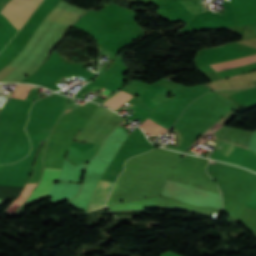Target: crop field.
<instances>
[{
  "label": "crop field",
  "instance_id": "dd49c442",
  "mask_svg": "<svg viewBox=\"0 0 256 256\" xmlns=\"http://www.w3.org/2000/svg\"><path fill=\"white\" fill-rule=\"evenodd\" d=\"M149 119V118H148ZM146 120L145 122H143L140 127L143 128L147 133H149L150 135H154V134H162L168 130L164 129L163 127L151 122L150 120ZM144 131V132H145Z\"/></svg>",
  "mask_w": 256,
  "mask_h": 256
},
{
  "label": "crop field",
  "instance_id": "ac0d7876",
  "mask_svg": "<svg viewBox=\"0 0 256 256\" xmlns=\"http://www.w3.org/2000/svg\"><path fill=\"white\" fill-rule=\"evenodd\" d=\"M60 171L61 169L45 168L41 183L33 191L31 196L25 203L31 204L38 198L46 196L53 182L57 180Z\"/></svg>",
  "mask_w": 256,
  "mask_h": 256
},
{
  "label": "crop field",
  "instance_id": "f4fd0767",
  "mask_svg": "<svg viewBox=\"0 0 256 256\" xmlns=\"http://www.w3.org/2000/svg\"><path fill=\"white\" fill-rule=\"evenodd\" d=\"M131 97V95L126 94L124 92H118L114 96H112L110 99L105 101L103 104L113 108V109H118L120 106L125 104Z\"/></svg>",
  "mask_w": 256,
  "mask_h": 256
},
{
  "label": "crop field",
  "instance_id": "3316defc",
  "mask_svg": "<svg viewBox=\"0 0 256 256\" xmlns=\"http://www.w3.org/2000/svg\"><path fill=\"white\" fill-rule=\"evenodd\" d=\"M67 107H68V105H67Z\"/></svg>",
  "mask_w": 256,
  "mask_h": 256
},
{
  "label": "crop field",
  "instance_id": "34b2d1b8",
  "mask_svg": "<svg viewBox=\"0 0 256 256\" xmlns=\"http://www.w3.org/2000/svg\"><path fill=\"white\" fill-rule=\"evenodd\" d=\"M113 185H114L113 182H108L103 180L100 181L87 212L99 210L105 207L106 199Z\"/></svg>",
  "mask_w": 256,
  "mask_h": 256
},
{
  "label": "crop field",
  "instance_id": "5a996713",
  "mask_svg": "<svg viewBox=\"0 0 256 256\" xmlns=\"http://www.w3.org/2000/svg\"><path fill=\"white\" fill-rule=\"evenodd\" d=\"M1 202H3V201L0 200V203H1Z\"/></svg>",
  "mask_w": 256,
  "mask_h": 256
},
{
  "label": "crop field",
  "instance_id": "e52e79f7",
  "mask_svg": "<svg viewBox=\"0 0 256 256\" xmlns=\"http://www.w3.org/2000/svg\"><path fill=\"white\" fill-rule=\"evenodd\" d=\"M224 141V140H223ZM227 142V141H226ZM230 143V142H229ZM231 144H233V143H231ZM234 145H236V144H234ZM237 146H239V145H237ZM240 147H242V146H240ZM243 148H245V147H243ZM247 149V148H246ZM249 149V148H248Z\"/></svg>",
  "mask_w": 256,
  "mask_h": 256
},
{
  "label": "crop field",
  "instance_id": "8a807250",
  "mask_svg": "<svg viewBox=\"0 0 256 256\" xmlns=\"http://www.w3.org/2000/svg\"><path fill=\"white\" fill-rule=\"evenodd\" d=\"M42 0H11L2 13L16 29H20Z\"/></svg>",
  "mask_w": 256,
  "mask_h": 256
},
{
  "label": "crop field",
  "instance_id": "d8731c3e",
  "mask_svg": "<svg viewBox=\"0 0 256 256\" xmlns=\"http://www.w3.org/2000/svg\"><path fill=\"white\" fill-rule=\"evenodd\" d=\"M132 105H133V104L130 103V104L128 105V107H131Z\"/></svg>",
  "mask_w": 256,
  "mask_h": 256
},
{
  "label": "crop field",
  "instance_id": "412701ff",
  "mask_svg": "<svg viewBox=\"0 0 256 256\" xmlns=\"http://www.w3.org/2000/svg\"><path fill=\"white\" fill-rule=\"evenodd\" d=\"M253 62H256V55L212 65L211 67L214 68L216 71H219V70L237 67V66H241V65H245Z\"/></svg>",
  "mask_w": 256,
  "mask_h": 256
}]
</instances>
